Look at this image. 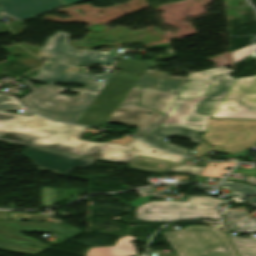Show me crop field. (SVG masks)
<instances>
[{
    "mask_svg": "<svg viewBox=\"0 0 256 256\" xmlns=\"http://www.w3.org/2000/svg\"><path fill=\"white\" fill-rule=\"evenodd\" d=\"M234 70L224 67L187 73L185 83L161 126H182L201 135L209 145H222L226 154H235L256 144V121L209 119V116L236 81Z\"/></svg>",
    "mask_w": 256,
    "mask_h": 256,
    "instance_id": "1",
    "label": "crop field"
},
{
    "mask_svg": "<svg viewBox=\"0 0 256 256\" xmlns=\"http://www.w3.org/2000/svg\"><path fill=\"white\" fill-rule=\"evenodd\" d=\"M84 130L85 127L50 121L37 114L28 117L0 112V141L127 164L137 155L177 163L183 159V156L158 150L138 139L125 146L79 140ZM152 150L157 152L152 153Z\"/></svg>",
    "mask_w": 256,
    "mask_h": 256,
    "instance_id": "2",
    "label": "crop field"
},
{
    "mask_svg": "<svg viewBox=\"0 0 256 256\" xmlns=\"http://www.w3.org/2000/svg\"><path fill=\"white\" fill-rule=\"evenodd\" d=\"M46 84L80 83L88 89L101 90L76 123L98 127L104 123L132 87L80 76L75 68L64 64L45 63L36 76L28 77ZM99 118H103L99 120Z\"/></svg>",
    "mask_w": 256,
    "mask_h": 256,
    "instance_id": "3",
    "label": "crop field"
},
{
    "mask_svg": "<svg viewBox=\"0 0 256 256\" xmlns=\"http://www.w3.org/2000/svg\"><path fill=\"white\" fill-rule=\"evenodd\" d=\"M63 90H74L79 92V95L65 97L57 94ZM98 92L88 89H65L54 85L37 86L20 100L30 109L49 118L74 123ZM41 105H45V107Z\"/></svg>",
    "mask_w": 256,
    "mask_h": 256,
    "instance_id": "4",
    "label": "crop field"
},
{
    "mask_svg": "<svg viewBox=\"0 0 256 256\" xmlns=\"http://www.w3.org/2000/svg\"><path fill=\"white\" fill-rule=\"evenodd\" d=\"M225 203L226 200L207 196L187 197V202H148L136 208V220L173 222L193 218L221 219L216 208Z\"/></svg>",
    "mask_w": 256,
    "mask_h": 256,
    "instance_id": "5",
    "label": "crop field"
},
{
    "mask_svg": "<svg viewBox=\"0 0 256 256\" xmlns=\"http://www.w3.org/2000/svg\"><path fill=\"white\" fill-rule=\"evenodd\" d=\"M179 256H236L225 234L193 226L162 233Z\"/></svg>",
    "mask_w": 256,
    "mask_h": 256,
    "instance_id": "6",
    "label": "crop field"
},
{
    "mask_svg": "<svg viewBox=\"0 0 256 256\" xmlns=\"http://www.w3.org/2000/svg\"><path fill=\"white\" fill-rule=\"evenodd\" d=\"M153 64L154 63L134 62L124 59L122 63L114 64L115 67L125 68L123 71L97 75L91 73L80 74L130 86L136 85L178 94L181 91L186 78L169 77L168 75L170 73L149 70Z\"/></svg>",
    "mask_w": 256,
    "mask_h": 256,
    "instance_id": "7",
    "label": "crop field"
},
{
    "mask_svg": "<svg viewBox=\"0 0 256 256\" xmlns=\"http://www.w3.org/2000/svg\"><path fill=\"white\" fill-rule=\"evenodd\" d=\"M210 117L256 119V76L238 78Z\"/></svg>",
    "mask_w": 256,
    "mask_h": 256,
    "instance_id": "8",
    "label": "crop field"
},
{
    "mask_svg": "<svg viewBox=\"0 0 256 256\" xmlns=\"http://www.w3.org/2000/svg\"><path fill=\"white\" fill-rule=\"evenodd\" d=\"M140 89L132 88L106 122L138 127L135 135L142 138L156 126L161 125L165 116L148 108L136 106ZM147 112L153 114L149 116Z\"/></svg>",
    "mask_w": 256,
    "mask_h": 256,
    "instance_id": "9",
    "label": "crop field"
},
{
    "mask_svg": "<svg viewBox=\"0 0 256 256\" xmlns=\"http://www.w3.org/2000/svg\"><path fill=\"white\" fill-rule=\"evenodd\" d=\"M69 36V33L66 32H56L55 35L50 36L43 44L38 57L47 61L55 51H58L65 55L75 57L78 63L88 65L92 63L112 65L116 55L115 50H110L109 52L75 50L67 44ZM108 57H110V59H108Z\"/></svg>",
    "mask_w": 256,
    "mask_h": 256,
    "instance_id": "10",
    "label": "crop field"
},
{
    "mask_svg": "<svg viewBox=\"0 0 256 256\" xmlns=\"http://www.w3.org/2000/svg\"><path fill=\"white\" fill-rule=\"evenodd\" d=\"M30 148V147H29ZM30 159L39 171L65 175L73 167H84L93 159L30 148L20 153Z\"/></svg>",
    "mask_w": 256,
    "mask_h": 256,
    "instance_id": "11",
    "label": "crop field"
},
{
    "mask_svg": "<svg viewBox=\"0 0 256 256\" xmlns=\"http://www.w3.org/2000/svg\"><path fill=\"white\" fill-rule=\"evenodd\" d=\"M63 6L59 0H0V20H24Z\"/></svg>",
    "mask_w": 256,
    "mask_h": 256,
    "instance_id": "12",
    "label": "crop field"
},
{
    "mask_svg": "<svg viewBox=\"0 0 256 256\" xmlns=\"http://www.w3.org/2000/svg\"><path fill=\"white\" fill-rule=\"evenodd\" d=\"M225 222L233 232H256V219H249L244 213L226 211ZM229 237L239 256H256V238Z\"/></svg>",
    "mask_w": 256,
    "mask_h": 256,
    "instance_id": "13",
    "label": "crop field"
},
{
    "mask_svg": "<svg viewBox=\"0 0 256 256\" xmlns=\"http://www.w3.org/2000/svg\"><path fill=\"white\" fill-rule=\"evenodd\" d=\"M20 230L50 231L46 223L0 221V239L49 248L32 238L22 236Z\"/></svg>",
    "mask_w": 256,
    "mask_h": 256,
    "instance_id": "14",
    "label": "crop field"
},
{
    "mask_svg": "<svg viewBox=\"0 0 256 256\" xmlns=\"http://www.w3.org/2000/svg\"><path fill=\"white\" fill-rule=\"evenodd\" d=\"M171 136H181V137H190L194 143L199 144L203 140L201 139L200 135L195 132L191 131L182 127H161L155 130L152 134H150L144 140L159 147L162 149H168L170 151L182 153L186 155L190 150L180 148L174 145L167 144L160 140V138H167Z\"/></svg>",
    "mask_w": 256,
    "mask_h": 256,
    "instance_id": "15",
    "label": "crop field"
},
{
    "mask_svg": "<svg viewBox=\"0 0 256 256\" xmlns=\"http://www.w3.org/2000/svg\"><path fill=\"white\" fill-rule=\"evenodd\" d=\"M177 95L143 89L139 105L149 107L166 115Z\"/></svg>",
    "mask_w": 256,
    "mask_h": 256,
    "instance_id": "16",
    "label": "crop field"
},
{
    "mask_svg": "<svg viewBox=\"0 0 256 256\" xmlns=\"http://www.w3.org/2000/svg\"><path fill=\"white\" fill-rule=\"evenodd\" d=\"M131 240H135V238L125 235L124 237L119 238L114 247L90 248L86 256H136V250L132 244L133 242H129Z\"/></svg>",
    "mask_w": 256,
    "mask_h": 256,
    "instance_id": "17",
    "label": "crop field"
},
{
    "mask_svg": "<svg viewBox=\"0 0 256 256\" xmlns=\"http://www.w3.org/2000/svg\"><path fill=\"white\" fill-rule=\"evenodd\" d=\"M220 186L235 192L231 197L239 204H244L247 196L256 195V189L247 184L224 181Z\"/></svg>",
    "mask_w": 256,
    "mask_h": 256,
    "instance_id": "18",
    "label": "crop field"
},
{
    "mask_svg": "<svg viewBox=\"0 0 256 256\" xmlns=\"http://www.w3.org/2000/svg\"><path fill=\"white\" fill-rule=\"evenodd\" d=\"M0 249L16 251V252L32 254V255H36L45 250V249H39V248L29 247L25 245L5 242L1 240H0Z\"/></svg>",
    "mask_w": 256,
    "mask_h": 256,
    "instance_id": "19",
    "label": "crop field"
},
{
    "mask_svg": "<svg viewBox=\"0 0 256 256\" xmlns=\"http://www.w3.org/2000/svg\"><path fill=\"white\" fill-rule=\"evenodd\" d=\"M19 107H22V105L18 103L15 99L0 93V111L7 112Z\"/></svg>",
    "mask_w": 256,
    "mask_h": 256,
    "instance_id": "20",
    "label": "crop field"
},
{
    "mask_svg": "<svg viewBox=\"0 0 256 256\" xmlns=\"http://www.w3.org/2000/svg\"><path fill=\"white\" fill-rule=\"evenodd\" d=\"M41 205L42 206H53V199H54V189L41 187Z\"/></svg>",
    "mask_w": 256,
    "mask_h": 256,
    "instance_id": "21",
    "label": "crop field"
},
{
    "mask_svg": "<svg viewBox=\"0 0 256 256\" xmlns=\"http://www.w3.org/2000/svg\"><path fill=\"white\" fill-rule=\"evenodd\" d=\"M206 167L177 165L169 170L199 175Z\"/></svg>",
    "mask_w": 256,
    "mask_h": 256,
    "instance_id": "22",
    "label": "crop field"
},
{
    "mask_svg": "<svg viewBox=\"0 0 256 256\" xmlns=\"http://www.w3.org/2000/svg\"><path fill=\"white\" fill-rule=\"evenodd\" d=\"M48 61H56L61 63H66L70 66H76L77 67V61L75 58L65 56L61 53L55 52L51 58Z\"/></svg>",
    "mask_w": 256,
    "mask_h": 256,
    "instance_id": "23",
    "label": "crop field"
},
{
    "mask_svg": "<svg viewBox=\"0 0 256 256\" xmlns=\"http://www.w3.org/2000/svg\"><path fill=\"white\" fill-rule=\"evenodd\" d=\"M52 230L60 232V233H65L71 237L77 235L80 233V231L74 227L70 226H65V225H57V224H51L50 225Z\"/></svg>",
    "mask_w": 256,
    "mask_h": 256,
    "instance_id": "24",
    "label": "crop field"
},
{
    "mask_svg": "<svg viewBox=\"0 0 256 256\" xmlns=\"http://www.w3.org/2000/svg\"><path fill=\"white\" fill-rule=\"evenodd\" d=\"M252 50V45L232 52L233 62H237L243 58L250 56V51Z\"/></svg>",
    "mask_w": 256,
    "mask_h": 256,
    "instance_id": "25",
    "label": "crop field"
},
{
    "mask_svg": "<svg viewBox=\"0 0 256 256\" xmlns=\"http://www.w3.org/2000/svg\"><path fill=\"white\" fill-rule=\"evenodd\" d=\"M11 219L18 220H33L36 221V216L29 213H10Z\"/></svg>",
    "mask_w": 256,
    "mask_h": 256,
    "instance_id": "26",
    "label": "crop field"
},
{
    "mask_svg": "<svg viewBox=\"0 0 256 256\" xmlns=\"http://www.w3.org/2000/svg\"><path fill=\"white\" fill-rule=\"evenodd\" d=\"M244 182L249 183V184H251V185H253V186L256 187V178H255V177L248 176V177L244 180Z\"/></svg>",
    "mask_w": 256,
    "mask_h": 256,
    "instance_id": "27",
    "label": "crop field"
},
{
    "mask_svg": "<svg viewBox=\"0 0 256 256\" xmlns=\"http://www.w3.org/2000/svg\"><path fill=\"white\" fill-rule=\"evenodd\" d=\"M246 204L251 205L252 207H256V197H250L247 199Z\"/></svg>",
    "mask_w": 256,
    "mask_h": 256,
    "instance_id": "28",
    "label": "crop field"
},
{
    "mask_svg": "<svg viewBox=\"0 0 256 256\" xmlns=\"http://www.w3.org/2000/svg\"><path fill=\"white\" fill-rule=\"evenodd\" d=\"M30 90H33L34 87L27 81V80H21Z\"/></svg>",
    "mask_w": 256,
    "mask_h": 256,
    "instance_id": "29",
    "label": "crop field"
},
{
    "mask_svg": "<svg viewBox=\"0 0 256 256\" xmlns=\"http://www.w3.org/2000/svg\"><path fill=\"white\" fill-rule=\"evenodd\" d=\"M64 5L70 2H75V1H84V0H60Z\"/></svg>",
    "mask_w": 256,
    "mask_h": 256,
    "instance_id": "30",
    "label": "crop field"
},
{
    "mask_svg": "<svg viewBox=\"0 0 256 256\" xmlns=\"http://www.w3.org/2000/svg\"><path fill=\"white\" fill-rule=\"evenodd\" d=\"M34 113H32V112H30V111H28V110H26V112L24 113V114H22V115H28V116H31V115H33Z\"/></svg>",
    "mask_w": 256,
    "mask_h": 256,
    "instance_id": "31",
    "label": "crop field"
},
{
    "mask_svg": "<svg viewBox=\"0 0 256 256\" xmlns=\"http://www.w3.org/2000/svg\"><path fill=\"white\" fill-rule=\"evenodd\" d=\"M165 256H178L177 254H173V255H165Z\"/></svg>",
    "mask_w": 256,
    "mask_h": 256,
    "instance_id": "32",
    "label": "crop field"
}]
</instances>
